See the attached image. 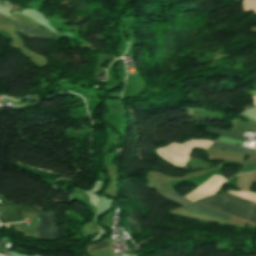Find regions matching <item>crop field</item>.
Segmentation results:
<instances>
[{"instance_id": "crop-field-3", "label": "crop field", "mask_w": 256, "mask_h": 256, "mask_svg": "<svg viewBox=\"0 0 256 256\" xmlns=\"http://www.w3.org/2000/svg\"><path fill=\"white\" fill-rule=\"evenodd\" d=\"M17 26H18V29L20 32H24V33H28V34H33V35H37V36H42V37H50L49 34L39 30V29H36L32 26H29L27 24H24V23H20V22H16ZM15 24V25H16ZM16 26V27H17ZM28 34H25V36L27 37H30V38H35V39H40L42 37H37V36H33V35H28Z\"/></svg>"}, {"instance_id": "crop-field-8", "label": "crop field", "mask_w": 256, "mask_h": 256, "mask_svg": "<svg viewBox=\"0 0 256 256\" xmlns=\"http://www.w3.org/2000/svg\"><path fill=\"white\" fill-rule=\"evenodd\" d=\"M127 223L136 233H140L142 226H140L138 224L137 220L133 217L131 210H130V214L128 216Z\"/></svg>"}, {"instance_id": "crop-field-9", "label": "crop field", "mask_w": 256, "mask_h": 256, "mask_svg": "<svg viewBox=\"0 0 256 256\" xmlns=\"http://www.w3.org/2000/svg\"><path fill=\"white\" fill-rule=\"evenodd\" d=\"M244 12L247 11H254V14H256V0H244Z\"/></svg>"}, {"instance_id": "crop-field-10", "label": "crop field", "mask_w": 256, "mask_h": 256, "mask_svg": "<svg viewBox=\"0 0 256 256\" xmlns=\"http://www.w3.org/2000/svg\"><path fill=\"white\" fill-rule=\"evenodd\" d=\"M89 245V244H88ZM109 243L107 242L106 238L100 242V243H97V244H92V245H89L87 246V249L86 251H89V250H95V249H101V248H105V247H109Z\"/></svg>"}, {"instance_id": "crop-field-2", "label": "crop field", "mask_w": 256, "mask_h": 256, "mask_svg": "<svg viewBox=\"0 0 256 256\" xmlns=\"http://www.w3.org/2000/svg\"><path fill=\"white\" fill-rule=\"evenodd\" d=\"M41 218V225L39 226L40 239H57L60 236L57 225L56 212L47 213L38 210Z\"/></svg>"}, {"instance_id": "crop-field-4", "label": "crop field", "mask_w": 256, "mask_h": 256, "mask_svg": "<svg viewBox=\"0 0 256 256\" xmlns=\"http://www.w3.org/2000/svg\"><path fill=\"white\" fill-rule=\"evenodd\" d=\"M185 208H188V209H190L192 211H195V212L209 214V215L217 216V217L224 218V219H226L228 217V215H225L223 213H220V212H217V211L199 206V205L194 204V203H191V204L185 206Z\"/></svg>"}, {"instance_id": "crop-field-5", "label": "crop field", "mask_w": 256, "mask_h": 256, "mask_svg": "<svg viewBox=\"0 0 256 256\" xmlns=\"http://www.w3.org/2000/svg\"><path fill=\"white\" fill-rule=\"evenodd\" d=\"M210 148L234 151V152L245 153V154H249L252 151V150L244 149L234 145L219 143L217 141Z\"/></svg>"}, {"instance_id": "crop-field-12", "label": "crop field", "mask_w": 256, "mask_h": 256, "mask_svg": "<svg viewBox=\"0 0 256 256\" xmlns=\"http://www.w3.org/2000/svg\"><path fill=\"white\" fill-rule=\"evenodd\" d=\"M152 239H154V238H148L147 240H145L144 242L140 243L139 245H145V244L151 242Z\"/></svg>"}, {"instance_id": "crop-field-7", "label": "crop field", "mask_w": 256, "mask_h": 256, "mask_svg": "<svg viewBox=\"0 0 256 256\" xmlns=\"http://www.w3.org/2000/svg\"><path fill=\"white\" fill-rule=\"evenodd\" d=\"M162 197L176 203V204H179V205H182V204H186V203H189L188 200L184 199L183 197H181L180 195L176 194V193H173V194H167V195H162Z\"/></svg>"}, {"instance_id": "crop-field-11", "label": "crop field", "mask_w": 256, "mask_h": 256, "mask_svg": "<svg viewBox=\"0 0 256 256\" xmlns=\"http://www.w3.org/2000/svg\"><path fill=\"white\" fill-rule=\"evenodd\" d=\"M11 17L18 18V19H20V20H22V21H24V22H26V23H28V24H32V25H35V26L38 25V23H36V22L30 20L29 18H27V17H25V16H23V15H21V14H14V15H12Z\"/></svg>"}, {"instance_id": "crop-field-6", "label": "crop field", "mask_w": 256, "mask_h": 256, "mask_svg": "<svg viewBox=\"0 0 256 256\" xmlns=\"http://www.w3.org/2000/svg\"><path fill=\"white\" fill-rule=\"evenodd\" d=\"M206 132L215 133V134H219V135H225V136L245 140V138H242L243 134L237 133V132H234V131H228V130H222V129H215V128L207 127Z\"/></svg>"}, {"instance_id": "crop-field-13", "label": "crop field", "mask_w": 256, "mask_h": 256, "mask_svg": "<svg viewBox=\"0 0 256 256\" xmlns=\"http://www.w3.org/2000/svg\"><path fill=\"white\" fill-rule=\"evenodd\" d=\"M248 95H256V91H247Z\"/></svg>"}, {"instance_id": "crop-field-1", "label": "crop field", "mask_w": 256, "mask_h": 256, "mask_svg": "<svg viewBox=\"0 0 256 256\" xmlns=\"http://www.w3.org/2000/svg\"><path fill=\"white\" fill-rule=\"evenodd\" d=\"M201 203L211 208L225 211L256 223V203L224 193L204 198Z\"/></svg>"}]
</instances>
